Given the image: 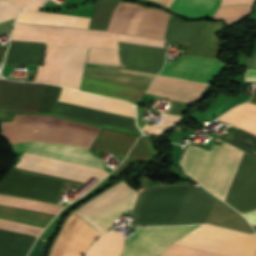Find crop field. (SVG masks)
Listing matches in <instances>:
<instances>
[{"label": "crop field", "mask_w": 256, "mask_h": 256, "mask_svg": "<svg viewBox=\"0 0 256 256\" xmlns=\"http://www.w3.org/2000/svg\"><path fill=\"white\" fill-rule=\"evenodd\" d=\"M242 153L225 143L214 144L211 152L190 145L182 165L188 175L223 200ZM224 201L241 212L256 208V158L243 153Z\"/></svg>", "instance_id": "8a807250"}, {"label": "crop field", "mask_w": 256, "mask_h": 256, "mask_svg": "<svg viewBox=\"0 0 256 256\" xmlns=\"http://www.w3.org/2000/svg\"><path fill=\"white\" fill-rule=\"evenodd\" d=\"M11 39L119 49L109 31L15 24ZM11 40L5 63L38 65L43 43ZM44 43L34 82L58 83L65 45Z\"/></svg>", "instance_id": "ac0d7876"}, {"label": "crop field", "mask_w": 256, "mask_h": 256, "mask_svg": "<svg viewBox=\"0 0 256 256\" xmlns=\"http://www.w3.org/2000/svg\"><path fill=\"white\" fill-rule=\"evenodd\" d=\"M15 168L79 181L86 184L90 183L95 178L99 179L97 181L99 182L108 174V172L101 169L27 153L23 154ZM17 169H13L0 182V194L37 199L58 204V194L61 190L64 179ZM68 180L65 182L82 187L86 186V184ZM89 189H87L86 192Z\"/></svg>", "instance_id": "34b2d1b8"}, {"label": "crop field", "mask_w": 256, "mask_h": 256, "mask_svg": "<svg viewBox=\"0 0 256 256\" xmlns=\"http://www.w3.org/2000/svg\"><path fill=\"white\" fill-rule=\"evenodd\" d=\"M214 197L187 184L154 186L142 191L130 215L132 225L204 223Z\"/></svg>", "instance_id": "412701ff"}, {"label": "crop field", "mask_w": 256, "mask_h": 256, "mask_svg": "<svg viewBox=\"0 0 256 256\" xmlns=\"http://www.w3.org/2000/svg\"><path fill=\"white\" fill-rule=\"evenodd\" d=\"M86 60L121 64L119 50H114V49H103V48L89 47ZM90 61H86L85 65L122 69L121 65L90 62ZM89 66H85L84 70L125 74V75H133V76H141V77H149V78H154V76H155L153 74L139 73V72H133V71H126V70H118V69L89 67ZM88 71H84L83 76L98 79V80L118 83V84H122V85H127L130 87L142 90L144 92H146V90L152 80V79H148V78L107 74V73L88 72ZM86 77H83V79H82V84H81V88H80V90H82V91L95 93V94H99V95H103V96H107V97H112V98H116V99H120V100H125V101L131 102L133 104H137L141 95L143 94L142 91H139L137 89H133V88H130L127 86L98 81V80L89 79Z\"/></svg>", "instance_id": "f4fd0767"}, {"label": "crop field", "mask_w": 256, "mask_h": 256, "mask_svg": "<svg viewBox=\"0 0 256 256\" xmlns=\"http://www.w3.org/2000/svg\"><path fill=\"white\" fill-rule=\"evenodd\" d=\"M99 128L49 116H16L3 123L2 135L11 143L35 140L89 148Z\"/></svg>", "instance_id": "dd49c442"}, {"label": "crop field", "mask_w": 256, "mask_h": 256, "mask_svg": "<svg viewBox=\"0 0 256 256\" xmlns=\"http://www.w3.org/2000/svg\"><path fill=\"white\" fill-rule=\"evenodd\" d=\"M177 244L231 256H256V235H249L211 225H203L180 239ZM173 244L162 256H226Z\"/></svg>", "instance_id": "e52e79f7"}, {"label": "crop field", "mask_w": 256, "mask_h": 256, "mask_svg": "<svg viewBox=\"0 0 256 256\" xmlns=\"http://www.w3.org/2000/svg\"><path fill=\"white\" fill-rule=\"evenodd\" d=\"M0 202L57 213L64 206L37 202L29 199L0 195ZM0 203V218L46 227L54 213ZM0 219V229L38 236L44 229L33 225Z\"/></svg>", "instance_id": "d8731c3e"}, {"label": "crop field", "mask_w": 256, "mask_h": 256, "mask_svg": "<svg viewBox=\"0 0 256 256\" xmlns=\"http://www.w3.org/2000/svg\"><path fill=\"white\" fill-rule=\"evenodd\" d=\"M169 13L137 4L120 2L109 23V31L164 39Z\"/></svg>", "instance_id": "5a996713"}, {"label": "crop field", "mask_w": 256, "mask_h": 256, "mask_svg": "<svg viewBox=\"0 0 256 256\" xmlns=\"http://www.w3.org/2000/svg\"><path fill=\"white\" fill-rule=\"evenodd\" d=\"M136 196L137 193L122 181L75 212L99 231L106 232L115 219L131 209Z\"/></svg>", "instance_id": "3316defc"}, {"label": "crop field", "mask_w": 256, "mask_h": 256, "mask_svg": "<svg viewBox=\"0 0 256 256\" xmlns=\"http://www.w3.org/2000/svg\"><path fill=\"white\" fill-rule=\"evenodd\" d=\"M118 35V41L164 48V41L136 36ZM119 42L122 67L126 70L157 74L163 67L165 49Z\"/></svg>", "instance_id": "28ad6ade"}, {"label": "crop field", "mask_w": 256, "mask_h": 256, "mask_svg": "<svg viewBox=\"0 0 256 256\" xmlns=\"http://www.w3.org/2000/svg\"><path fill=\"white\" fill-rule=\"evenodd\" d=\"M198 226L139 227L127 240L122 256H158L178 238Z\"/></svg>", "instance_id": "d1516ede"}, {"label": "crop field", "mask_w": 256, "mask_h": 256, "mask_svg": "<svg viewBox=\"0 0 256 256\" xmlns=\"http://www.w3.org/2000/svg\"><path fill=\"white\" fill-rule=\"evenodd\" d=\"M46 85L0 80V110L36 113ZM15 115L0 112V122L12 121Z\"/></svg>", "instance_id": "22f410ed"}, {"label": "crop field", "mask_w": 256, "mask_h": 256, "mask_svg": "<svg viewBox=\"0 0 256 256\" xmlns=\"http://www.w3.org/2000/svg\"><path fill=\"white\" fill-rule=\"evenodd\" d=\"M94 228L76 214H71L53 244L50 256H82L100 236Z\"/></svg>", "instance_id": "cbeb9de0"}, {"label": "crop field", "mask_w": 256, "mask_h": 256, "mask_svg": "<svg viewBox=\"0 0 256 256\" xmlns=\"http://www.w3.org/2000/svg\"><path fill=\"white\" fill-rule=\"evenodd\" d=\"M227 66L216 60L180 56L175 62L167 60L159 75L211 83Z\"/></svg>", "instance_id": "5142ce71"}, {"label": "crop field", "mask_w": 256, "mask_h": 256, "mask_svg": "<svg viewBox=\"0 0 256 256\" xmlns=\"http://www.w3.org/2000/svg\"><path fill=\"white\" fill-rule=\"evenodd\" d=\"M15 152H29L31 154L83 164L104 169L102 160L92 156L88 150L69 145H58L41 142H25L13 145Z\"/></svg>", "instance_id": "d9b57169"}, {"label": "crop field", "mask_w": 256, "mask_h": 256, "mask_svg": "<svg viewBox=\"0 0 256 256\" xmlns=\"http://www.w3.org/2000/svg\"><path fill=\"white\" fill-rule=\"evenodd\" d=\"M207 86L208 84L205 83L168 78L157 75L147 93L196 103L197 99L200 97Z\"/></svg>", "instance_id": "733c2abd"}, {"label": "crop field", "mask_w": 256, "mask_h": 256, "mask_svg": "<svg viewBox=\"0 0 256 256\" xmlns=\"http://www.w3.org/2000/svg\"><path fill=\"white\" fill-rule=\"evenodd\" d=\"M59 100L135 118L133 106L114 99L63 88Z\"/></svg>", "instance_id": "4a817a6b"}, {"label": "crop field", "mask_w": 256, "mask_h": 256, "mask_svg": "<svg viewBox=\"0 0 256 256\" xmlns=\"http://www.w3.org/2000/svg\"><path fill=\"white\" fill-rule=\"evenodd\" d=\"M87 49L66 45L58 85L79 90Z\"/></svg>", "instance_id": "bc2a9ffb"}, {"label": "crop field", "mask_w": 256, "mask_h": 256, "mask_svg": "<svg viewBox=\"0 0 256 256\" xmlns=\"http://www.w3.org/2000/svg\"><path fill=\"white\" fill-rule=\"evenodd\" d=\"M139 136L102 128L91 148L126 156Z\"/></svg>", "instance_id": "214f88e0"}, {"label": "crop field", "mask_w": 256, "mask_h": 256, "mask_svg": "<svg viewBox=\"0 0 256 256\" xmlns=\"http://www.w3.org/2000/svg\"><path fill=\"white\" fill-rule=\"evenodd\" d=\"M222 24V22L207 21L197 37L192 42L186 55L217 59L220 44L217 37L214 35Z\"/></svg>", "instance_id": "92a150f3"}, {"label": "crop field", "mask_w": 256, "mask_h": 256, "mask_svg": "<svg viewBox=\"0 0 256 256\" xmlns=\"http://www.w3.org/2000/svg\"><path fill=\"white\" fill-rule=\"evenodd\" d=\"M91 18L25 10L17 22L69 26L88 29Z\"/></svg>", "instance_id": "dafd665d"}, {"label": "crop field", "mask_w": 256, "mask_h": 256, "mask_svg": "<svg viewBox=\"0 0 256 256\" xmlns=\"http://www.w3.org/2000/svg\"><path fill=\"white\" fill-rule=\"evenodd\" d=\"M219 3L220 0H174L169 10L187 19H209Z\"/></svg>", "instance_id": "00972430"}, {"label": "crop field", "mask_w": 256, "mask_h": 256, "mask_svg": "<svg viewBox=\"0 0 256 256\" xmlns=\"http://www.w3.org/2000/svg\"><path fill=\"white\" fill-rule=\"evenodd\" d=\"M204 22H185L171 15L166 32V41L190 44Z\"/></svg>", "instance_id": "a9b5d70f"}, {"label": "crop field", "mask_w": 256, "mask_h": 256, "mask_svg": "<svg viewBox=\"0 0 256 256\" xmlns=\"http://www.w3.org/2000/svg\"><path fill=\"white\" fill-rule=\"evenodd\" d=\"M219 120L231 123L256 135L255 104L249 102L244 103L223 115Z\"/></svg>", "instance_id": "4177f3b9"}, {"label": "crop field", "mask_w": 256, "mask_h": 256, "mask_svg": "<svg viewBox=\"0 0 256 256\" xmlns=\"http://www.w3.org/2000/svg\"><path fill=\"white\" fill-rule=\"evenodd\" d=\"M123 247L124 237L109 231L93 244L86 256H120Z\"/></svg>", "instance_id": "730fd06b"}, {"label": "crop field", "mask_w": 256, "mask_h": 256, "mask_svg": "<svg viewBox=\"0 0 256 256\" xmlns=\"http://www.w3.org/2000/svg\"><path fill=\"white\" fill-rule=\"evenodd\" d=\"M120 0H98L89 29L106 30L110 18Z\"/></svg>", "instance_id": "eef30255"}, {"label": "crop field", "mask_w": 256, "mask_h": 256, "mask_svg": "<svg viewBox=\"0 0 256 256\" xmlns=\"http://www.w3.org/2000/svg\"><path fill=\"white\" fill-rule=\"evenodd\" d=\"M153 146L147 138L141 137L136 142L128 158L132 160H152L156 157Z\"/></svg>", "instance_id": "ae1a2a85"}, {"label": "crop field", "mask_w": 256, "mask_h": 256, "mask_svg": "<svg viewBox=\"0 0 256 256\" xmlns=\"http://www.w3.org/2000/svg\"><path fill=\"white\" fill-rule=\"evenodd\" d=\"M256 157V136L241 129L229 143Z\"/></svg>", "instance_id": "d3111659"}, {"label": "crop field", "mask_w": 256, "mask_h": 256, "mask_svg": "<svg viewBox=\"0 0 256 256\" xmlns=\"http://www.w3.org/2000/svg\"><path fill=\"white\" fill-rule=\"evenodd\" d=\"M60 87L47 85L37 113H52L58 98Z\"/></svg>", "instance_id": "750c4746"}, {"label": "crop field", "mask_w": 256, "mask_h": 256, "mask_svg": "<svg viewBox=\"0 0 256 256\" xmlns=\"http://www.w3.org/2000/svg\"><path fill=\"white\" fill-rule=\"evenodd\" d=\"M22 10L5 0H0V23L16 18Z\"/></svg>", "instance_id": "bd1437ed"}, {"label": "crop field", "mask_w": 256, "mask_h": 256, "mask_svg": "<svg viewBox=\"0 0 256 256\" xmlns=\"http://www.w3.org/2000/svg\"><path fill=\"white\" fill-rule=\"evenodd\" d=\"M251 5H233V6H224L220 7L217 13L225 12H238V11H250Z\"/></svg>", "instance_id": "1d83c4d3"}, {"label": "crop field", "mask_w": 256, "mask_h": 256, "mask_svg": "<svg viewBox=\"0 0 256 256\" xmlns=\"http://www.w3.org/2000/svg\"><path fill=\"white\" fill-rule=\"evenodd\" d=\"M181 119V116L169 115L159 125L160 127H170Z\"/></svg>", "instance_id": "120bbe31"}, {"label": "crop field", "mask_w": 256, "mask_h": 256, "mask_svg": "<svg viewBox=\"0 0 256 256\" xmlns=\"http://www.w3.org/2000/svg\"><path fill=\"white\" fill-rule=\"evenodd\" d=\"M45 239H41L39 238L35 244V246L33 247L31 253L29 254V256H40L44 243H45Z\"/></svg>", "instance_id": "d32e631a"}, {"label": "crop field", "mask_w": 256, "mask_h": 256, "mask_svg": "<svg viewBox=\"0 0 256 256\" xmlns=\"http://www.w3.org/2000/svg\"><path fill=\"white\" fill-rule=\"evenodd\" d=\"M45 1L46 0H34L27 9L37 11Z\"/></svg>", "instance_id": "5866460e"}, {"label": "crop field", "mask_w": 256, "mask_h": 256, "mask_svg": "<svg viewBox=\"0 0 256 256\" xmlns=\"http://www.w3.org/2000/svg\"><path fill=\"white\" fill-rule=\"evenodd\" d=\"M253 3V0H222V4H246Z\"/></svg>", "instance_id": "028f5c9d"}, {"label": "crop field", "mask_w": 256, "mask_h": 256, "mask_svg": "<svg viewBox=\"0 0 256 256\" xmlns=\"http://www.w3.org/2000/svg\"><path fill=\"white\" fill-rule=\"evenodd\" d=\"M244 215L250 221L251 224L256 225V210L248 212V213H244Z\"/></svg>", "instance_id": "e1f06a70"}, {"label": "crop field", "mask_w": 256, "mask_h": 256, "mask_svg": "<svg viewBox=\"0 0 256 256\" xmlns=\"http://www.w3.org/2000/svg\"><path fill=\"white\" fill-rule=\"evenodd\" d=\"M245 81H256V70H248L245 75Z\"/></svg>", "instance_id": "0bd39190"}, {"label": "crop field", "mask_w": 256, "mask_h": 256, "mask_svg": "<svg viewBox=\"0 0 256 256\" xmlns=\"http://www.w3.org/2000/svg\"><path fill=\"white\" fill-rule=\"evenodd\" d=\"M143 131L149 132V133H154V134H160L164 131V129H161V128H158V127L146 126Z\"/></svg>", "instance_id": "b80d0937"}, {"label": "crop field", "mask_w": 256, "mask_h": 256, "mask_svg": "<svg viewBox=\"0 0 256 256\" xmlns=\"http://www.w3.org/2000/svg\"><path fill=\"white\" fill-rule=\"evenodd\" d=\"M10 1H12V2H14V3H16V4H18V5L22 6V7H26L27 4H28L31 0H10Z\"/></svg>", "instance_id": "c035e120"}, {"label": "crop field", "mask_w": 256, "mask_h": 256, "mask_svg": "<svg viewBox=\"0 0 256 256\" xmlns=\"http://www.w3.org/2000/svg\"><path fill=\"white\" fill-rule=\"evenodd\" d=\"M125 161V160H124ZM129 160H126L124 163H122L116 170L113 171V173L117 174L119 173L127 164Z\"/></svg>", "instance_id": "c21b1889"}, {"label": "crop field", "mask_w": 256, "mask_h": 256, "mask_svg": "<svg viewBox=\"0 0 256 256\" xmlns=\"http://www.w3.org/2000/svg\"><path fill=\"white\" fill-rule=\"evenodd\" d=\"M6 51L0 48V63H2Z\"/></svg>", "instance_id": "03da06ac"}, {"label": "crop field", "mask_w": 256, "mask_h": 256, "mask_svg": "<svg viewBox=\"0 0 256 256\" xmlns=\"http://www.w3.org/2000/svg\"><path fill=\"white\" fill-rule=\"evenodd\" d=\"M249 102H252V103H255V104H256V89H255V92H254L253 99L250 100Z\"/></svg>", "instance_id": "b54c1fbb"}, {"label": "crop field", "mask_w": 256, "mask_h": 256, "mask_svg": "<svg viewBox=\"0 0 256 256\" xmlns=\"http://www.w3.org/2000/svg\"><path fill=\"white\" fill-rule=\"evenodd\" d=\"M253 227L256 229V226L253 225Z\"/></svg>", "instance_id": "5d738f31"}]
</instances>
